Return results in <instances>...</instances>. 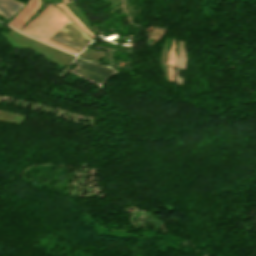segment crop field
Returning <instances> with one entry per match:
<instances>
[{"instance_id":"obj_1","label":"crop field","mask_w":256,"mask_h":256,"mask_svg":"<svg viewBox=\"0 0 256 256\" xmlns=\"http://www.w3.org/2000/svg\"><path fill=\"white\" fill-rule=\"evenodd\" d=\"M70 21L60 10L50 5L23 30V33L43 42L55 45L71 53H78L66 46L48 39L66 22Z\"/></svg>"},{"instance_id":"obj_2","label":"crop field","mask_w":256,"mask_h":256,"mask_svg":"<svg viewBox=\"0 0 256 256\" xmlns=\"http://www.w3.org/2000/svg\"><path fill=\"white\" fill-rule=\"evenodd\" d=\"M73 62L76 63L78 66L72 69V71L87 77L88 79L99 84L100 86L103 82H105L115 73H117L108 66L85 61L78 57Z\"/></svg>"},{"instance_id":"obj_3","label":"crop field","mask_w":256,"mask_h":256,"mask_svg":"<svg viewBox=\"0 0 256 256\" xmlns=\"http://www.w3.org/2000/svg\"><path fill=\"white\" fill-rule=\"evenodd\" d=\"M51 38L71 46L79 51L83 50L84 47L91 41V39L77 29L73 23L70 21L64 27H62L58 32H56Z\"/></svg>"},{"instance_id":"obj_4","label":"crop field","mask_w":256,"mask_h":256,"mask_svg":"<svg viewBox=\"0 0 256 256\" xmlns=\"http://www.w3.org/2000/svg\"><path fill=\"white\" fill-rule=\"evenodd\" d=\"M40 5V0H30L25 8L10 23H8V25L19 30L23 24L37 11Z\"/></svg>"},{"instance_id":"obj_5","label":"crop field","mask_w":256,"mask_h":256,"mask_svg":"<svg viewBox=\"0 0 256 256\" xmlns=\"http://www.w3.org/2000/svg\"><path fill=\"white\" fill-rule=\"evenodd\" d=\"M24 3L15 0H0V14L9 19L16 14Z\"/></svg>"},{"instance_id":"obj_6","label":"crop field","mask_w":256,"mask_h":256,"mask_svg":"<svg viewBox=\"0 0 256 256\" xmlns=\"http://www.w3.org/2000/svg\"><path fill=\"white\" fill-rule=\"evenodd\" d=\"M58 5L61 10L80 28L82 29L84 32H86L89 36H91L93 38V34L90 33L85 27L84 25L70 12V10L64 5V4H56Z\"/></svg>"}]
</instances>
